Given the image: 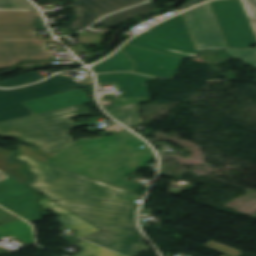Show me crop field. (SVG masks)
<instances>
[{
	"label": "crop field",
	"instance_id": "8a807250",
	"mask_svg": "<svg viewBox=\"0 0 256 256\" xmlns=\"http://www.w3.org/2000/svg\"><path fill=\"white\" fill-rule=\"evenodd\" d=\"M30 188L101 229L82 238L127 256L146 251L134 219L137 204L87 197L85 185Z\"/></svg>",
	"mask_w": 256,
	"mask_h": 256
},
{
	"label": "crop field",
	"instance_id": "ac0d7876",
	"mask_svg": "<svg viewBox=\"0 0 256 256\" xmlns=\"http://www.w3.org/2000/svg\"><path fill=\"white\" fill-rule=\"evenodd\" d=\"M105 140L83 146H95L94 143ZM110 142L120 149L99 156L82 155L86 149L72 144L44 162L134 192L141 185L123 178L148 163L154 155L149 147L139 148L145 143L129 131L113 136Z\"/></svg>",
	"mask_w": 256,
	"mask_h": 256
},
{
	"label": "crop field",
	"instance_id": "34b2d1b8",
	"mask_svg": "<svg viewBox=\"0 0 256 256\" xmlns=\"http://www.w3.org/2000/svg\"><path fill=\"white\" fill-rule=\"evenodd\" d=\"M90 114V110L81 105L0 122V135L20 139L22 144L55 154L72 144L73 128L89 124L88 121L74 124L70 119Z\"/></svg>",
	"mask_w": 256,
	"mask_h": 256
},
{
	"label": "crop field",
	"instance_id": "412701ff",
	"mask_svg": "<svg viewBox=\"0 0 256 256\" xmlns=\"http://www.w3.org/2000/svg\"><path fill=\"white\" fill-rule=\"evenodd\" d=\"M46 29L37 11H0V69L20 62L50 60L47 40H5L36 38L35 30Z\"/></svg>",
	"mask_w": 256,
	"mask_h": 256
},
{
	"label": "crop field",
	"instance_id": "f4fd0767",
	"mask_svg": "<svg viewBox=\"0 0 256 256\" xmlns=\"http://www.w3.org/2000/svg\"><path fill=\"white\" fill-rule=\"evenodd\" d=\"M31 172L29 186L86 184L88 196L134 203L138 195L16 154Z\"/></svg>",
	"mask_w": 256,
	"mask_h": 256
},
{
	"label": "crop field",
	"instance_id": "dd49c442",
	"mask_svg": "<svg viewBox=\"0 0 256 256\" xmlns=\"http://www.w3.org/2000/svg\"><path fill=\"white\" fill-rule=\"evenodd\" d=\"M127 44L185 58L198 53L182 14L145 31Z\"/></svg>",
	"mask_w": 256,
	"mask_h": 256
},
{
	"label": "crop field",
	"instance_id": "e52e79f7",
	"mask_svg": "<svg viewBox=\"0 0 256 256\" xmlns=\"http://www.w3.org/2000/svg\"><path fill=\"white\" fill-rule=\"evenodd\" d=\"M198 49H223L235 60L256 68V47L235 49L227 47L210 3H205L182 13Z\"/></svg>",
	"mask_w": 256,
	"mask_h": 256
},
{
	"label": "crop field",
	"instance_id": "d8731c3e",
	"mask_svg": "<svg viewBox=\"0 0 256 256\" xmlns=\"http://www.w3.org/2000/svg\"><path fill=\"white\" fill-rule=\"evenodd\" d=\"M86 87L58 74L38 84L13 89L0 90V121L33 115L21 102Z\"/></svg>",
	"mask_w": 256,
	"mask_h": 256
},
{
	"label": "crop field",
	"instance_id": "5a996713",
	"mask_svg": "<svg viewBox=\"0 0 256 256\" xmlns=\"http://www.w3.org/2000/svg\"><path fill=\"white\" fill-rule=\"evenodd\" d=\"M210 3L228 46L248 48L256 42L240 0H218Z\"/></svg>",
	"mask_w": 256,
	"mask_h": 256
},
{
	"label": "crop field",
	"instance_id": "3316defc",
	"mask_svg": "<svg viewBox=\"0 0 256 256\" xmlns=\"http://www.w3.org/2000/svg\"><path fill=\"white\" fill-rule=\"evenodd\" d=\"M136 64L132 71L164 78H173L182 58L125 44L121 48Z\"/></svg>",
	"mask_w": 256,
	"mask_h": 256
},
{
	"label": "crop field",
	"instance_id": "28ad6ade",
	"mask_svg": "<svg viewBox=\"0 0 256 256\" xmlns=\"http://www.w3.org/2000/svg\"><path fill=\"white\" fill-rule=\"evenodd\" d=\"M147 0H74L75 19L67 26L72 32L90 26L101 16Z\"/></svg>",
	"mask_w": 256,
	"mask_h": 256
},
{
	"label": "crop field",
	"instance_id": "d1516ede",
	"mask_svg": "<svg viewBox=\"0 0 256 256\" xmlns=\"http://www.w3.org/2000/svg\"><path fill=\"white\" fill-rule=\"evenodd\" d=\"M97 76L98 83L114 82L119 85L123 94L118 95L124 100L113 101L114 106L138 104L149 100L146 81L154 78L140 76L134 73L100 74Z\"/></svg>",
	"mask_w": 256,
	"mask_h": 256
},
{
	"label": "crop field",
	"instance_id": "22f410ed",
	"mask_svg": "<svg viewBox=\"0 0 256 256\" xmlns=\"http://www.w3.org/2000/svg\"><path fill=\"white\" fill-rule=\"evenodd\" d=\"M87 102H89L87 96L80 89H76L53 96L25 102L23 104L26 105L35 114H39L81 105Z\"/></svg>",
	"mask_w": 256,
	"mask_h": 256
},
{
	"label": "crop field",
	"instance_id": "cbeb9de0",
	"mask_svg": "<svg viewBox=\"0 0 256 256\" xmlns=\"http://www.w3.org/2000/svg\"><path fill=\"white\" fill-rule=\"evenodd\" d=\"M39 204L44 205L41 210H49L52 209L59 215L57 216V221L62 223L63 225L69 227L71 230L76 232L75 234L79 237L90 234L96 230V227L92 226L88 222L80 219L69 211L53 204L48 199H40Z\"/></svg>",
	"mask_w": 256,
	"mask_h": 256
},
{
	"label": "crop field",
	"instance_id": "5142ce71",
	"mask_svg": "<svg viewBox=\"0 0 256 256\" xmlns=\"http://www.w3.org/2000/svg\"><path fill=\"white\" fill-rule=\"evenodd\" d=\"M157 8L158 7H156L154 4L149 2V3L143 4V5L134 7V8L124 10V11L116 13L114 15H111V16L103 19L102 21L98 22L96 25H100L103 27L113 29V28L123 24L124 22H126L127 20H129L132 17H135L137 15L143 14L145 12H148L150 10L157 9Z\"/></svg>",
	"mask_w": 256,
	"mask_h": 256
},
{
	"label": "crop field",
	"instance_id": "d9b57169",
	"mask_svg": "<svg viewBox=\"0 0 256 256\" xmlns=\"http://www.w3.org/2000/svg\"><path fill=\"white\" fill-rule=\"evenodd\" d=\"M135 64L120 49L116 54L107 60L91 67L94 73H103L109 71H131Z\"/></svg>",
	"mask_w": 256,
	"mask_h": 256
},
{
	"label": "crop field",
	"instance_id": "733c2abd",
	"mask_svg": "<svg viewBox=\"0 0 256 256\" xmlns=\"http://www.w3.org/2000/svg\"><path fill=\"white\" fill-rule=\"evenodd\" d=\"M104 110L116 120L130 128L144 124L139 118L137 105L104 108Z\"/></svg>",
	"mask_w": 256,
	"mask_h": 256
},
{
	"label": "crop field",
	"instance_id": "4a817a6b",
	"mask_svg": "<svg viewBox=\"0 0 256 256\" xmlns=\"http://www.w3.org/2000/svg\"><path fill=\"white\" fill-rule=\"evenodd\" d=\"M12 154L14 152L0 148V170L26 185L29 180L28 173L23 171V164L11 159Z\"/></svg>",
	"mask_w": 256,
	"mask_h": 256
},
{
	"label": "crop field",
	"instance_id": "bc2a9ffb",
	"mask_svg": "<svg viewBox=\"0 0 256 256\" xmlns=\"http://www.w3.org/2000/svg\"><path fill=\"white\" fill-rule=\"evenodd\" d=\"M31 228L28 223L21 219L0 225V238L12 235L21 239L26 244L34 243L33 231Z\"/></svg>",
	"mask_w": 256,
	"mask_h": 256
},
{
	"label": "crop field",
	"instance_id": "214f88e0",
	"mask_svg": "<svg viewBox=\"0 0 256 256\" xmlns=\"http://www.w3.org/2000/svg\"><path fill=\"white\" fill-rule=\"evenodd\" d=\"M75 246L81 248L82 250L74 256H121L111 251L105 250L101 247H98L94 244H91L87 241H81L75 244Z\"/></svg>",
	"mask_w": 256,
	"mask_h": 256
},
{
	"label": "crop field",
	"instance_id": "92a150f3",
	"mask_svg": "<svg viewBox=\"0 0 256 256\" xmlns=\"http://www.w3.org/2000/svg\"><path fill=\"white\" fill-rule=\"evenodd\" d=\"M43 79L39 74L31 71L28 73H24L18 76H14L8 80L1 81L0 82V87L1 88H9L13 86H18V85H24V84H29L38 80Z\"/></svg>",
	"mask_w": 256,
	"mask_h": 256
},
{
	"label": "crop field",
	"instance_id": "dafd665d",
	"mask_svg": "<svg viewBox=\"0 0 256 256\" xmlns=\"http://www.w3.org/2000/svg\"><path fill=\"white\" fill-rule=\"evenodd\" d=\"M127 131V130H125ZM124 132V131H123ZM116 135V134H115ZM103 138V137H102ZM107 138V140L105 142H102V143H97L96 146L97 147H79V148H89L88 150H86L85 153L83 154H92V155H99L101 154L102 152H109L113 149H116L117 147H115L112 143H110V139L112 138V136L110 137H105ZM101 138H96V139H79L77 140L75 143V145L79 146V145H82V144H85L86 142L88 141H95V140H99Z\"/></svg>",
	"mask_w": 256,
	"mask_h": 256
},
{
	"label": "crop field",
	"instance_id": "00972430",
	"mask_svg": "<svg viewBox=\"0 0 256 256\" xmlns=\"http://www.w3.org/2000/svg\"><path fill=\"white\" fill-rule=\"evenodd\" d=\"M0 10H37L28 0H0Z\"/></svg>",
	"mask_w": 256,
	"mask_h": 256
},
{
	"label": "crop field",
	"instance_id": "a9b5d70f",
	"mask_svg": "<svg viewBox=\"0 0 256 256\" xmlns=\"http://www.w3.org/2000/svg\"><path fill=\"white\" fill-rule=\"evenodd\" d=\"M19 154H22V155H25L28 157H32V158H35V159H38L41 161H43L53 155V154H50V153H47V152H44L41 150H37V149L31 148V147H28V146H25L22 144H20V146H19Z\"/></svg>",
	"mask_w": 256,
	"mask_h": 256
},
{
	"label": "crop field",
	"instance_id": "4177f3b9",
	"mask_svg": "<svg viewBox=\"0 0 256 256\" xmlns=\"http://www.w3.org/2000/svg\"><path fill=\"white\" fill-rule=\"evenodd\" d=\"M204 246L212 248L214 250H217L219 252H222V253L230 255V256H240L241 255V252H239L235 249H232L230 247L221 245L219 243L213 242V241L208 242Z\"/></svg>",
	"mask_w": 256,
	"mask_h": 256
},
{
	"label": "crop field",
	"instance_id": "730fd06b",
	"mask_svg": "<svg viewBox=\"0 0 256 256\" xmlns=\"http://www.w3.org/2000/svg\"><path fill=\"white\" fill-rule=\"evenodd\" d=\"M249 19H256V0H241Z\"/></svg>",
	"mask_w": 256,
	"mask_h": 256
},
{
	"label": "crop field",
	"instance_id": "eef30255",
	"mask_svg": "<svg viewBox=\"0 0 256 256\" xmlns=\"http://www.w3.org/2000/svg\"><path fill=\"white\" fill-rule=\"evenodd\" d=\"M16 219L19 218L0 208V224H4Z\"/></svg>",
	"mask_w": 256,
	"mask_h": 256
},
{
	"label": "crop field",
	"instance_id": "ae1a2a85",
	"mask_svg": "<svg viewBox=\"0 0 256 256\" xmlns=\"http://www.w3.org/2000/svg\"><path fill=\"white\" fill-rule=\"evenodd\" d=\"M203 1H205V0H193V1H191L190 3L187 2V3H186L185 5H183L182 7H184L185 9H187V8H189V7H191V6L195 5V4H198V3H200V2H203Z\"/></svg>",
	"mask_w": 256,
	"mask_h": 256
},
{
	"label": "crop field",
	"instance_id": "d3111659",
	"mask_svg": "<svg viewBox=\"0 0 256 256\" xmlns=\"http://www.w3.org/2000/svg\"><path fill=\"white\" fill-rule=\"evenodd\" d=\"M62 239L66 240V241H68V242H70V243L77 242V241L81 240V239H79V238L76 237V236H73V237H71V238L65 237V238H62Z\"/></svg>",
	"mask_w": 256,
	"mask_h": 256
},
{
	"label": "crop field",
	"instance_id": "750c4746",
	"mask_svg": "<svg viewBox=\"0 0 256 256\" xmlns=\"http://www.w3.org/2000/svg\"><path fill=\"white\" fill-rule=\"evenodd\" d=\"M249 21H250L251 26H252V28L254 30L255 35H256V20H249Z\"/></svg>",
	"mask_w": 256,
	"mask_h": 256
},
{
	"label": "crop field",
	"instance_id": "bd1437ed",
	"mask_svg": "<svg viewBox=\"0 0 256 256\" xmlns=\"http://www.w3.org/2000/svg\"><path fill=\"white\" fill-rule=\"evenodd\" d=\"M7 177H9V176L0 171V180L7 178Z\"/></svg>",
	"mask_w": 256,
	"mask_h": 256
}]
</instances>
